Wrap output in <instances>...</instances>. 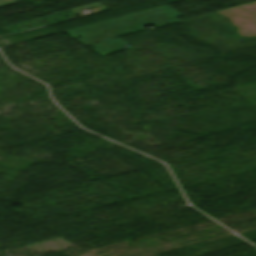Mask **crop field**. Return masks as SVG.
Instances as JSON below:
<instances>
[{"label": "crop field", "mask_w": 256, "mask_h": 256, "mask_svg": "<svg viewBox=\"0 0 256 256\" xmlns=\"http://www.w3.org/2000/svg\"><path fill=\"white\" fill-rule=\"evenodd\" d=\"M177 16H181V14H179L178 12L166 6V7L66 31L65 33L71 35L73 38L77 36L87 37L81 40H77L76 38L75 39L80 43H82L83 45L89 46L92 44L116 39L120 35L127 34V31L129 30H131L132 32H136L134 31L136 29L144 30V27L150 24L156 27H159L166 24H173V23L180 22L175 19V17ZM124 23L126 24L122 25ZM132 27H134L135 29L132 30L131 29ZM125 28H128V29L122 30ZM140 30H137V31H140ZM123 32H126V33L122 34Z\"/></svg>", "instance_id": "obj_1"}, {"label": "crop field", "mask_w": 256, "mask_h": 256, "mask_svg": "<svg viewBox=\"0 0 256 256\" xmlns=\"http://www.w3.org/2000/svg\"><path fill=\"white\" fill-rule=\"evenodd\" d=\"M125 45H128V44L121 39H116V40L92 45L91 48L95 49L94 52L102 56H106L124 49Z\"/></svg>", "instance_id": "obj_2"}, {"label": "crop field", "mask_w": 256, "mask_h": 256, "mask_svg": "<svg viewBox=\"0 0 256 256\" xmlns=\"http://www.w3.org/2000/svg\"><path fill=\"white\" fill-rule=\"evenodd\" d=\"M14 3H16V0H0V7Z\"/></svg>", "instance_id": "obj_3"}]
</instances>
